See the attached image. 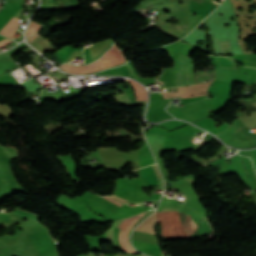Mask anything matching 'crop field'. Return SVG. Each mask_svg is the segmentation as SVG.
I'll return each mask as SVG.
<instances>
[{"label": "crop field", "mask_w": 256, "mask_h": 256, "mask_svg": "<svg viewBox=\"0 0 256 256\" xmlns=\"http://www.w3.org/2000/svg\"><path fill=\"white\" fill-rule=\"evenodd\" d=\"M156 212L162 226V235L166 239L185 238L184 235L187 238L194 234L198 229L200 219H187V217L175 212L174 220V212L162 210H156ZM156 212L140 223L134 231L154 234L153 227L156 222L159 221ZM173 220L176 226L182 225L186 220L185 224L179 227L184 235L181 233L178 227L172 223Z\"/></svg>", "instance_id": "8a807250"}, {"label": "crop field", "mask_w": 256, "mask_h": 256, "mask_svg": "<svg viewBox=\"0 0 256 256\" xmlns=\"http://www.w3.org/2000/svg\"><path fill=\"white\" fill-rule=\"evenodd\" d=\"M100 59L104 62V64L107 67L126 61L122 53L118 50L116 46H113V48L107 51L106 54ZM101 60H98L95 63L98 65L100 69L106 68V66L103 64ZM95 63H92L89 66H82V67L64 65L61 68L71 73H78V74L89 73L99 69Z\"/></svg>", "instance_id": "ac0d7876"}, {"label": "crop field", "mask_w": 256, "mask_h": 256, "mask_svg": "<svg viewBox=\"0 0 256 256\" xmlns=\"http://www.w3.org/2000/svg\"><path fill=\"white\" fill-rule=\"evenodd\" d=\"M210 83L211 82L202 83V84H198V85L193 84V85H189L188 87L180 86V87H177V88H179V91L177 93H174V91H169V92H161V94L163 95L164 98H171V97H177V96L206 93V90H207L208 86L210 85ZM201 95H203V94H201ZM192 96H196V95H192ZM185 97H190V96H185ZM181 98H184V97H181ZM203 98H206V95L184 98V99H182V102H183V104H185L188 102L201 100Z\"/></svg>", "instance_id": "34b2d1b8"}, {"label": "crop field", "mask_w": 256, "mask_h": 256, "mask_svg": "<svg viewBox=\"0 0 256 256\" xmlns=\"http://www.w3.org/2000/svg\"><path fill=\"white\" fill-rule=\"evenodd\" d=\"M144 213H141L137 216L133 217L132 218H127V219H124L121 224L118 226V228L124 230L125 227L129 224H130L126 227V229L124 231L120 230L119 231V234H118V243L119 245L122 247V249L128 253H134L135 251L129 246L128 244V239H127V235H128V231L130 229V227L143 215Z\"/></svg>", "instance_id": "412701ff"}, {"label": "crop field", "mask_w": 256, "mask_h": 256, "mask_svg": "<svg viewBox=\"0 0 256 256\" xmlns=\"http://www.w3.org/2000/svg\"><path fill=\"white\" fill-rule=\"evenodd\" d=\"M126 83L128 84V82L126 81ZM117 87V91H116V94L117 96L114 97L120 104L122 105H127V106H133V105H145L147 101H142V102H135V99H134V96L131 92V89L129 87V84H128V88H123V85L120 84V85H116ZM124 91V94L123 95H119L118 94V91Z\"/></svg>", "instance_id": "f4fd0767"}, {"label": "crop field", "mask_w": 256, "mask_h": 256, "mask_svg": "<svg viewBox=\"0 0 256 256\" xmlns=\"http://www.w3.org/2000/svg\"><path fill=\"white\" fill-rule=\"evenodd\" d=\"M215 6L208 1L191 0L189 11L205 17Z\"/></svg>", "instance_id": "dd49c442"}, {"label": "crop field", "mask_w": 256, "mask_h": 256, "mask_svg": "<svg viewBox=\"0 0 256 256\" xmlns=\"http://www.w3.org/2000/svg\"><path fill=\"white\" fill-rule=\"evenodd\" d=\"M133 68H134L133 65L129 61L127 64H125L121 67L103 71V72H99L96 74H99V75H124V76H129L131 78L139 77V76H136L138 74H137L136 70H134Z\"/></svg>", "instance_id": "e52e79f7"}, {"label": "crop field", "mask_w": 256, "mask_h": 256, "mask_svg": "<svg viewBox=\"0 0 256 256\" xmlns=\"http://www.w3.org/2000/svg\"><path fill=\"white\" fill-rule=\"evenodd\" d=\"M141 177L147 184H157L159 181L160 173L156 165L140 169Z\"/></svg>", "instance_id": "d8731c3e"}, {"label": "crop field", "mask_w": 256, "mask_h": 256, "mask_svg": "<svg viewBox=\"0 0 256 256\" xmlns=\"http://www.w3.org/2000/svg\"><path fill=\"white\" fill-rule=\"evenodd\" d=\"M38 33L34 34L32 37L28 38V41H31L33 38H35ZM34 48L41 52L45 51H54L55 49L51 46L49 42H47L41 35L37 36L35 39H33L31 42H29Z\"/></svg>", "instance_id": "5a996713"}, {"label": "crop field", "mask_w": 256, "mask_h": 256, "mask_svg": "<svg viewBox=\"0 0 256 256\" xmlns=\"http://www.w3.org/2000/svg\"><path fill=\"white\" fill-rule=\"evenodd\" d=\"M19 19L16 18H12L7 24L6 26L0 31V34L8 37V38H13V35L15 33V30L19 24Z\"/></svg>", "instance_id": "3316defc"}, {"label": "crop field", "mask_w": 256, "mask_h": 256, "mask_svg": "<svg viewBox=\"0 0 256 256\" xmlns=\"http://www.w3.org/2000/svg\"><path fill=\"white\" fill-rule=\"evenodd\" d=\"M128 81L135 89L137 101L147 100V95L144 88L135 81H131V80H128Z\"/></svg>", "instance_id": "28ad6ade"}, {"label": "crop field", "mask_w": 256, "mask_h": 256, "mask_svg": "<svg viewBox=\"0 0 256 256\" xmlns=\"http://www.w3.org/2000/svg\"><path fill=\"white\" fill-rule=\"evenodd\" d=\"M40 25L36 24L35 22H32L27 30L26 37H29L32 35L34 32L38 30Z\"/></svg>", "instance_id": "d1516ede"}, {"label": "crop field", "mask_w": 256, "mask_h": 256, "mask_svg": "<svg viewBox=\"0 0 256 256\" xmlns=\"http://www.w3.org/2000/svg\"><path fill=\"white\" fill-rule=\"evenodd\" d=\"M11 42H12V41H10V40H8V39L2 37V38H0V47L3 46V45L9 44V43H11Z\"/></svg>", "instance_id": "22f410ed"}, {"label": "crop field", "mask_w": 256, "mask_h": 256, "mask_svg": "<svg viewBox=\"0 0 256 256\" xmlns=\"http://www.w3.org/2000/svg\"><path fill=\"white\" fill-rule=\"evenodd\" d=\"M111 197H113V198H115V199H117V200H119V201H121V202L129 203V201H128V200H125V199L119 198V197H117V196L112 195Z\"/></svg>", "instance_id": "cbeb9de0"}, {"label": "crop field", "mask_w": 256, "mask_h": 256, "mask_svg": "<svg viewBox=\"0 0 256 256\" xmlns=\"http://www.w3.org/2000/svg\"><path fill=\"white\" fill-rule=\"evenodd\" d=\"M105 198H107L108 200L112 201V202L115 203L116 205L121 206V203H118V202L114 201L113 199H111V198H109V197H105Z\"/></svg>", "instance_id": "5142ce71"}, {"label": "crop field", "mask_w": 256, "mask_h": 256, "mask_svg": "<svg viewBox=\"0 0 256 256\" xmlns=\"http://www.w3.org/2000/svg\"><path fill=\"white\" fill-rule=\"evenodd\" d=\"M211 57L213 58V63H214V65H215V67H217L216 61H215V57H214V56H211Z\"/></svg>", "instance_id": "d9b57169"}]
</instances>
